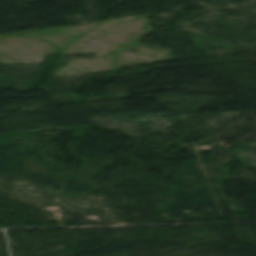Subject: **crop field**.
<instances>
[{
    "label": "crop field",
    "instance_id": "8a807250",
    "mask_svg": "<svg viewBox=\"0 0 256 256\" xmlns=\"http://www.w3.org/2000/svg\"><path fill=\"white\" fill-rule=\"evenodd\" d=\"M38 1H47V0H28V2H38Z\"/></svg>",
    "mask_w": 256,
    "mask_h": 256
}]
</instances>
